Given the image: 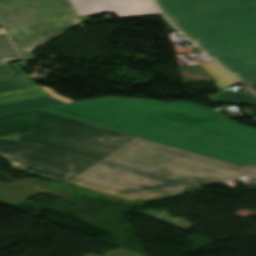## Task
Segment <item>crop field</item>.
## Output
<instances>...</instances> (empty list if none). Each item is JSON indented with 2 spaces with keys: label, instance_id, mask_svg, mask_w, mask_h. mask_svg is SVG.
Segmentation results:
<instances>
[{
  "label": "crop field",
  "instance_id": "obj_14",
  "mask_svg": "<svg viewBox=\"0 0 256 256\" xmlns=\"http://www.w3.org/2000/svg\"><path fill=\"white\" fill-rule=\"evenodd\" d=\"M1 24V23H0Z\"/></svg>",
  "mask_w": 256,
  "mask_h": 256
},
{
  "label": "crop field",
  "instance_id": "obj_13",
  "mask_svg": "<svg viewBox=\"0 0 256 256\" xmlns=\"http://www.w3.org/2000/svg\"><path fill=\"white\" fill-rule=\"evenodd\" d=\"M246 85L256 93V81L247 83Z\"/></svg>",
  "mask_w": 256,
  "mask_h": 256
},
{
  "label": "crop field",
  "instance_id": "obj_9",
  "mask_svg": "<svg viewBox=\"0 0 256 256\" xmlns=\"http://www.w3.org/2000/svg\"><path fill=\"white\" fill-rule=\"evenodd\" d=\"M199 66L217 82L215 85L219 89L240 84L213 61L199 64Z\"/></svg>",
  "mask_w": 256,
  "mask_h": 256
},
{
  "label": "crop field",
  "instance_id": "obj_3",
  "mask_svg": "<svg viewBox=\"0 0 256 256\" xmlns=\"http://www.w3.org/2000/svg\"><path fill=\"white\" fill-rule=\"evenodd\" d=\"M134 138L38 109L0 116V155L65 182Z\"/></svg>",
  "mask_w": 256,
  "mask_h": 256
},
{
  "label": "crop field",
  "instance_id": "obj_7",
  "mask_svg": "<svg viewBox=\"0 0 256 256\" xmlns=\"http://www.w3.org/2000/svg\"><path fill=\"white\" fill-rule=\"evenodd\" d=\"M80 16L114 12L117 18L159 14L152 0H70Z\"/></svg>",
  "mask_w": 256,
  "mask_h": 256
},
{
  "label": "crop field",
  "instance_id": "obj_5",
  "mask_svg": "<svg viewBox=\"0 0 256 256\" xmlns=\"http://www.w3.org/2000/svg\"><path fill=\"white\" fill-rule=\"evenodd\" d=\"M6 32L25 62L31 51L81 24L68 0H0Z\"/></svg>",
  "mask_w": 256,
  "mask_h": 256
},
{
  "label": "crop field",
  "instance_id": "obj_4",
  "mask_svg": "<svg viewBox=\"0 0 256 256\" xmlns=\"http://www.w3.org/2000/svg\"><path fill=\"white\" fill-rule=\"evenodd\" d=\"M167 18L244 83L256 80L254 0H155Z\"/></svg>",
  "mask_w": 256,
  "mask_h": 256
},
{
  "label": "crop field",
  "instance_id": "obj_10",
  "mask_svg": "<svg viewBox=\"0 0 256 256\" xmlns=\"http://www.w3.org/2000/svg\"><path fill=\"white\" fill-rule=\"evenodd\" d=\"M211 101L226 103H244L256 105V96L252 93L232 92L230 90H219L217 94L210 96Z\"/></svg>",
  "mask_w": 256,
  "mask_h": 256
},
{
  "label": "crop field",
  "instance_id": "obj_8",
  "mask_svg": "<svg viewBox=\"0 0 256 256\" xmlns=\"http://www.w3.org/2000/svg\"><path fill=\"white\" fill-rule=\"evenodd\" d=\"M18 60L20 58L5 34L0 35V77L16 75L17 73L6 62Z\"/></svg>",
  "mask_w": 256,
  "mask_h": 256
},
{
  "label": "crop field",
  "instance_id": "obj_11",
  "mask_svg": "<svg viewBox=\"0 0 256 256\" xmlns=\"http://www.w3.org/2000/svg\"><path fill=\"white\" fill-rule=\"evenodd\" d=\"M45 92H47L48 94H49V96H51V97H54V98H56V99H59V100H62V101H64V102H67V103H70V102H74V101H72V100H70V99H68V98H65V97H63V96H60V95H58V94H56L52 89H50V88H46V87H44V86H40Z\"/></svg>",
  "mask_w": 256,
  "mask_h": 256
},
{
  "label": "crop field",
  "instance_id": "obj_1",
  "mask_svg": "<svg viewBox=\"0 0 256 256\" xmlns=\"http://www.w3.org/2000/svg\"><path fill=\"white\" fill-rule=\"evenodd\" d=\"M40 109L231 164H256V129L189 102L103 97Z\"/></svg>",
  "mask_w": 256,
  "mask_h": 256
},
{
  "label": "crop field",
  "instance_id": "obj_6",
  "mask_svg": "<svg viewBox=\"0 0 256 256\" xmlns=\"http://www.w3.org/2000/svg\"><path fill=\"white\" fill-rule=\"evenodd\" d=\"M61 104L25 74L0 78V115Z\"/></svg>",
  "mask_w": 256,
  "mask_h": 256
},
{
  "label": "crop field",
  "instance_id": "obj_12",
  "mask_svg": "<svg viewBox=\"0 0 256 256\" xmlns=\"http://www.w3.org/2000/svg\"><path fill=\"white\" fill-rule=\"evenodd\" d=\"M10 160V159H9ZM10 162L13 164V166L15 167V168H17V169H19V170H24V168H25V165H21V164H17V163H15V162H13L12 160H10Z\"/></svg>",
  "mask_w": 256,
  "mask_h": 256
},
{
  "label": "crop field",
  "instance_id": "obj_2",
  "mask_svg": "<svg viewBox=\"0 0 256 256\" xmlns=\"http://www.w3.org/2000/svg\"><path fill=\"white\" fill-rule=\"evenodd\" d=\"M240 176L256 177V165L239 167L136 137L68 183L137 201Z\"/></svg>",
  "mask_w": 256,
  "mask_h": 256
}]
</instances>
